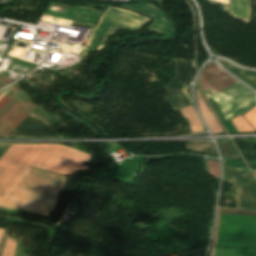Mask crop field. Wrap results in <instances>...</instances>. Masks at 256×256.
<instances>
[{"instance_id": "obj_3", "label": "crop field", "mask_w": 256, "mask_h": 256, "mask_svg": "<svg viewBox=\"0 0 256 256\" xmlns=\"http://www.w3.org/2000/svg\"><path fill=\"white\" fill-rule=\"evenodd\" d=\"M220 214L256 215V212L218 209L211 255L216 242ZM221 215L218 234L256 236V216ZM218 235L213 256H256V237Z\"/></svg>"}, {"instance_id": "obj_5", "label": "crop field", "mask_w": 256, "mask_h": 256, "mask_svg": "<svg viewBox=\"0 0 256 256\" xmlns=\"http://www.w3.org/2000/svg\"><path fill=\"white\" fill-rule=\"evenodd\" d=\"M224 179L235 185L237 208L256 210V181L248 170L224 167Z\"/></svg>"}, {"instance_id": "obj_21", "label": "crop field", "mask_w": 256, "mask_h": 256, "mask_svg": "<svg viewBox=\"0 0 256 256\" xmlns=\"http://www.w3.org/2000/svg\"><path fill=\"white\" fill-rule=\"evenodd\" d=\"M7 234H3V237H2V240H1V243H0V256H2L3 254V250H4V247H5V243H6V239H7Z\"/></svg>"}, {"instance_id": "obj_18", "label": "crop field", "mask_w": 256, "mask_h": 256, "mask_svg": "<svg viewBox=\"0 0 256 256\" xmlns=\"http://www.w3.org/2000/svg\"><path fill=\"white\" fill-rule=\"evenodd\" d=\"M25 92L20 91L1 111L0 116L4 114Z\"/></svg>"}, {"instance_id": "obj_8", "label": "crop field", "mask_w": 256, "mask_h": 256, "mask_svg": "<svg viewBox=\"0 0 256 256\" xmlns=\"http://www.w3.org/2000/svg\"><path fill=\"white\" fill-rule=\"evenodd\" d=\"M59 130L60 128L30 114L8 136L56 137Z\"/></svg>"}, {"instance_id": "obj_19", "label": "crop field", "mask_w": 256, "mask_h": 256, "mask_svg": "<svg viewBox=\"0 0 256 256\" xmlns=\"http://www.w3.org/2000/svg\"><path fill=\"white\" fill-rule=\"evenodd\" d=\"M244 117L256 128V107L244 115Z\"/></svg>"}, {"instance_id": "obj_9", "label": "crop field", "mask_w": 256, "mask_h": 256, "mask_svg": "<svg viewBox=\"0 0 256 256\" xmlns=\"http://www.w3.org/2000/svg\"><path fill=\"white\" fill-rule=\"evenodd\" d=\"M35 107L28 101L24 104L18 100L0 118V136H7Z\"/></svg>"}, {"instance_id": "obj_13", "label": "crop field", "mask_w": 256, "mask_h": 256, "mask_svg": "<svg viewBox=\"0 0 256 256\" xmlns=\"http://www.w3.org/2000/svg\"><path fill=\"white\" fill-rule=\"evenodd\" d=\"M218 145L220 147L222 156L225 158H230V159H237L238 156L235 152V150L233 149V147L231 146V144L229 143V141H217Z\"/></svg>"}, {"instance_id": "obj_16", "label": "crop field", "mask_w": 256, "mask_h": 256, "mask_svg": "<svg viewBox=\"0 0 256 256\" xmlns=\"http://www.w3.org/2000/svg\"><path fill=\"white\" fill-rule=\"evenodd\" d=\"M208 172L214 177L219 178V164L215 161L207 160Z\"/></svg>"}, {"instance_id": "obj_12", "label": "crop field", "mask_w": 256, "mask_h": 256, "mask_svg": "<svg viewBox=\"0 0 256 256\" xmlns=\"http://www.w3.org/2000/svg\"><path fill=\"white\" fill-rule=\"evenodd\" d=\"M186 148L194 152L205 153L206 156L217 157L213 143H189Z\"/></svg>"}, {"instance_id": "obj_4", "label": "crop field", "mask_w": 256, "mask_h": 256, "mask_svg": "<svg viewBox=\"0 0 256 256\" xmlns=\"http://www.w3.org/2000/svg\"><path fill=\"white\" fill-rule=\"evenodd\" d=\"M211 99L219 103L225 120H229L256 105V97L239 82Z\"/></svg>"}, {"instance_id": "obj_24", "label": "crop field", "mask_w": 256, "mask_h": 256, "mask_svg": "<svg viewBox=\"0 0 256 256\" xmlns=\"http://www.w3.org/2000/svg\"><path fill=\"white\" fill-rule=\"evenodd\" d=\"M3 231L4 230H0V240H1V237H2V234H3Z\"/></svg>"}, {"instance_id": "obj_25", "label": "crop field", "mask_w": 256, "mask_h": 256, "mask_svg": "<svg viewBox=\"0 0 256 256\" xmlns=\"http://www.w3.org/2000/svg\"><path fill=\"white\" fill-rule=\"evenodd\" d=\"M11 86H12V85H11ZM11 86H9V87H11ZM9 87H7V88H9ZM7 88H6V89H7ZM4 90H5V89H4ZM1 92H2V91H1ZM1 92H0V93H1Z\"/></svg>"}, {"instance_id": "obj_1", "label": "crop field", "mask_w": 256, "mask_h": 256, "mask_svg": "<svg viewBox=\"0 0 256 256\" xmlns=\"http://www.w3.org/2000/svg\"><path fill=\"white\" fill-rule=\"evenodd\" d=\"M90 155L81 151L52 144L12 145L0 159V197L30 165L60 174H70L83 165Z\"/></svg>"}, {"instance_id": "obj_14", "label": "crop field", "mask_w": 256, "mask_h": 256, "mask_svg": "<svg viewBox=\"0 0 256 256\" xmlns=\"http://www.w3.org/2000/svg\"><path fill=\"white\" fill-rule=\"evenodd\" d=\"M238 132H253L255 131L246 121L240 116L232 120Z\"/></svg>"}, {"instance_id": "obj_10", "label": "crop field", "mask_w": 256, "mask_h": 256, "mask_svg": "<svg viewBox=\"0 0 256 256\" xmlns=\"http://www.w3.org/2000/svg\"><path fill=\"white\" fill-rule=\"evenodd\" d=\"M230 14L246 23H249L250 1L249 0H231Z\"/></svg>"}, {"instance_id": "obj_23", "label": "crop field", "mask_w": 256, "mask_h": 256, "mask_svg": "<svg viewBox=\"0 0 256 256\" xmlns=\"http://www.w3.org/2000/svg\"><path fill=\"white\" fill-rule=\"evenodd\" d=\"M12 88V87H11ZM11 88H9V89H7V90H5V91H3L1 94H0V99L11 89Z\"/></svg>"}, {"instance_id": "obj_17", "label": "crop field", "mask_w": 256, "mask_h": 256, "mask_svg": "<svg viewBox=\"0 0 256 256\" xmlns=\"http://www.w3.org/2000/svg\"><path fill=\"white\" fill-rule=\"evenodd\" d=\"M15 243H16L15 240L8 238L3 256H13L14 249H15Z\"/></svg>"}, {"instance_id": "obj_6", "label": "crop field", "mask_w": 256, "mask_h": 256, "mask_svg": "<svg viewBox=\"0 0 256 256\" xmlns=\"http://www.w3.org/2000/svg\"><path fill=\"white\" fill-rule=\"evenodd\" d=\"M175 69L177 77L171 80L166 99L177 110L190 104L186 83L192 71V61L175 60ZM180 90L184 98H182Z\"/></svg>"}, {"instance_id": "obj_22", "label": "crop field", "mask_w": 256, "mask_h": 256, "mask_svg": "<svg viewBox=\"0 0 256 256\" xmlns=\"http://www.w3.org/2000/svg\"><path fill=\"white\" fill-rule=\"evenodd\" d=\"M11 145H0V158L3 156V154L9 149Z\"/></svg>"}, {"instance_id": "obj_2", "label": "crop field", "mask_w": 256, "mask_h": 256, "mask_svg": "<svg viewBox=\"0 0 256 256\" xmlns=\"http://www.w3.org/2000/svg\"><path fill=\"white\" fill-rule=\"evenodd\" d=\"M65 177L27 167L0 199V206L50 215L64 189Z\"/></svg>"}, {"instance_id": "obj_7", "label": "crop field", "mask_w": 256, "mask_h": 256, "mask_svg": "<svg viewBox=\"0 0 256 256\" xmlns=\"http://www.w3.org/2000/svg\"><path fill=\"white\" fill-rule=\"evenodd\" d=\"M235 80L213 62L206 66L200 76L202 89L208 98L236 83Z\"/></svg>"}, {"instance_id": "obj_15", "label": "crop field", "mask_w": 256, "mask_h": 256, "mask_svg": "<svg viewBox=\"0 0 256 256\" xmlns=\"http://www.w3.org/2000/svg\"><path fill=\"white\" fill-rule=\"evenodd\" d=\"M21 89L13 87L1 100L0 110L20 91Z\"/></svg>"}, {"instance_id": "obj_20", "label": "crop field", "mask_w": 256, "mask_h": 256, "mask_svg": "<svg viewBox=\"0 0 256 256\" xmlns=\"http://www.w3.org/2000/svg\"><path fill=\"white\" fill-rule=\"evenodd\" d=\"M14 81L8 79V78H3V77H0V90L2 88H4L5 86L9 85L10 83H12Z\"/></svg>"}, {"instance_id": "obj_11", "label": "crop field", "mask_w": 256, "mask_h": 256, "mask_svg": "<svg viewBox=\"0 0 256 256\" xmlns=\"http://www.w3.org/2000/svg\"><path fill=\"white\" fill-rule=\"evenodd\" d=\"M225 66H227L234 74H236L238 77H240L242 80L247 82L249 85H251L255 90H256V72L255 71H250V70H245V69H240L237 68L230 63L226 61H221ZM249 77L252 81L247 80L244 76Z\"/></svg>"}]
</instances>
